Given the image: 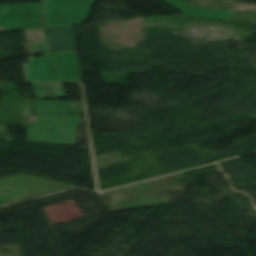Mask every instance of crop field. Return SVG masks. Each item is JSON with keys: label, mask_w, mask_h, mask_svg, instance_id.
<instances>
[{"label": "crop field", "mask_w": 256, "mask_h": 256, "mask_svg": "<svg viewBox=\"0 0 256 256\" xmlns=\"http://www.w3.org/2000/svg\"><path fill=\"white\" fill-rule=\"evenodd\" d=\"M79 116L36 115L35 123L27 126L28 141L76 144Z\"/></svg>", "instance_id": "8a807250"}, {"label": "crop field", "mask_w": 256, "mask_h": 256, "mask_svg": "<svg viewBox=\"0 0 256 256\" xmlns=\"http://www.w3.org/2000/svg\"><path fill=\"white\" fill-rule=\"evenodd\" d=\"M96 0H44L45 28L83 24Z\"/></svg>", "instance_id": "ac0d7876"}, {"label": "crop field", "mask_w": 256, "mask_h": 256, "mask_svg": "<svg viewBox=\"0 0 256 256\" xmlns=\"http://www.w3.org/2000/svg\"><path fill=\"white\" fill-rule=\"evenodd\" d=\"M0 16V28L31 29L41 28V4L29 5H3Z\"/></svg>", "instance_id": "34b2d1b8"}, {"label": "crop field", "mask_w": 256, "mask_h": 256, "mask_svg": "<svg viewBox=\"0 0 256 256\" xmlns=\"http://www.w3.org/2000/svg\"><path fill=\"white\" fill-rule=\"evenodd\" d=\"M67 187L70 186L43 181L27 176H16L0 181V188L12 189L25 200Z\"/></svg>", "instance_id": "412701ff"}, {"label": "crop field", "mask_w": 256, "mask_h": 256, "mask_svg": "<svg viewBox=\"0 0 256 256\" xmlns=\"http://www.w3.org/2000/svg\"><path fill=\"white\" fill-rule=\"evenodd\" d=\"M43 30L47 43L30 45L32 54L76 50L72 26Z\"/></svg>", "instance_id": "f4fd0767"}, {"label": "crop field", "mask_w": 256, "mask_h": 256, "mask_svg": "<svg viewBox=\"0 0 256 256\" xmlns=\"http://www.w3.org/2000/svg\"><path fill=\"white\" fill-rule=\"evenodd\" d=\"M27 64L29 82H61L51 54Z\"/></svg>", "instance_id": "dd49c442"}, {"label": "crop field", "mask_w": 256, "mask_h": 256, "mask_svg": "<svg viewBox=\"0 0 256 256\" xmlns=\"http://www.w3.org/2000/svg\"><path fill=\"white\" fill-rule=\"evenodd\" d=\"M188 17L228 21L236 12L222 9L201 8L188 5L180 0H163Z\"/></svg>", "instance_id": "e52e79f7"}, {"label": "crop field", "mask_w": 256, "mask_h": 256, "mask_svg": "<svg viewBox=\"0 0 256 256\" xmlns=\"http://www.w3.org/2000/svg\"><path fill=\"white\" fill-rule=\"evenodd\" d=\"M63 83L82 82L76 51L54 53Z\"/></svg>", "instance_id": "d8731c3e"}, {"label": "crop field", "mask_w": 256, "mask_h": 256, "mask_svg": "<svg viewBox=\"0 0 256 256\" xmlns=\"http://www.w3.org/2000/svg\"><path fill=\"white\" fill-rule=\"evenodd\" d=\"M37 113L79 115L75 102L33 100Z\"/></svg>", "instance_id": "5a996713"}, {"label": "crop field", "mask_w": 256, "mask_h": 256, "mask_svg": "<svg viewBox=\"0 0 256 256\" xmlns=\"http://www.w3.org/2000/svg\"><path fill=\"white\" fill-rule=\"evenodd\" d=\"M37 98L65 97L61 84H31Z\"/></svg>", "instance_id": "3316defc"}, {"label": "crop field", "mask_w": 256, "mask_h": 256, "mask_svg": "<svg viewBox=\"0 0 256 256\" xmlns=\"http://www.w3.org/2000/svg\"><path fill=\"white\" fill-rule=\"evenodd\" d=\"M16 201H18V199H16L11 194L1 196L0 197V206L8 205V204H11V203L16 202Z\"/></svg>", "instance_id": "28ad6ade"}, {"label": "crop field", "mask_w": 256, "mask_h": 256, "mask_svg": "<svg viewBox=\"0 0 256 256\" xmlns=\"http://www.w3.org/2000/svg\"><path fill=\"white\" fill-rule=\"evenodd\" d=\"M11 193L12 195H14L16 198H18L20 201H23L24 199H22L20 196H18L15 192H13L12 190H8V189H0V196L1 195H5V194H9Z\"/></svg>", "instance_id": "d1516ede"}, {"label": "crop field", "mask_w": 256, "mask_h": 256, "mask_svg": "<svg viewBox=\"0 0 256 256\" xmlns=\"http://www.w3.org/2000/svg\"><path fill=\"white\" fill-rule=\"evenodd\" d=\"M1 31H13V30H9V29H0V32Z\"/></svg>", "instance_id": "22f410ed"}]
</instances>
